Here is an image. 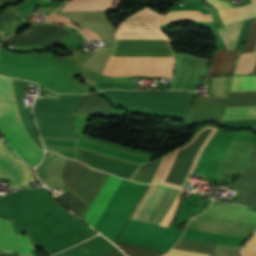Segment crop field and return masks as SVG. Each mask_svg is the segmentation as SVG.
<instances>
[{
  "label": "crop field",
  "mask_w": 256,
  "mask_h": 256,
  "mask_svg": "<svg viewBox=\"0 0 256 256\" xmlns=\"http://www.w3.org/2000/svg\"><path fill=\"white\" fill-rule=\"evenodd\" d=\"M14 9V8H13ZM16 12L17 10L14 9ZM16 12L8 9L0 18V37L4 40L6 37L10 36L11 33L18 30L20 27L26 26L27 24H32L35 22L25 20L19 16Z\"/></svg>",
  "instance_id": "23"
},
{
  "label": "crop field",
  "mask_w": 256,
  "mask_h": 256,
  "mask_svg": "<svg viewBox=\"0 0 256 256\" xmlns=\"http://www.w3.org/2000/svg\"><path fill=\"white\" fill-rule=\"evenodd\" d=\"M218 9L224 24L256 17V0H251L252 4L233 8L230 3L220 0H209Z\"/></svg>",
  "instance_id": "19"
},
{
  "label": "crop field",
  "mask_w": 256,
  "mask_h": 256,
  "mask_svg": "<svg viewBox=\"0 0 256 256\" xmlns=\"http://www.w3.org/2000/svg\"><path fill=\"white\" fill-rule=\"evenodd\" d=\"M33 249L26 234L15 235L9 220L0 218V250L33 256Z\"/></svg>",
  "instance_id": "17"
},
{
  "label": "crop field",
  "mask_w": 256,
  "mask_h": 256,
  "mask_svg": "<svg viewBox=\"0 0 256 256\" xmlns=\"http://www.w3.org/2000/svg\"><path fill=\"white\" fill-rule=\"evenodd\" d=\"M238 256H241V254H239Z\"/></svg>",
  "instance_id": "34"
},
{
  "label": "crop field",
  "mask_w": 256,
  "mask_h": 256,
  "mask_svg": "<svg viewBox=\"0 0 256 256\" xmlns=\"http://www.w3.org/2000/svg\"><path fill=\"white\" fill-rule=\"evenodd\" d=\"M235 188L241 192L234 203L254 208L256 205V143L249 162Z\"/></svg>",
  "instance_id": "12"
},
{
  "label": "crop field",
  "mask_w": 256,
  "mask_h": 256,
  "mask_svg": "<svg viewBox=\"0 0 256 256\" xmlns=\"http://www.w3.org/2000/svg\"><path fill=\"white\" fill-rule=\"evenodd\" d=\"M253 91H256V76L233 77L231 92ZM236 106H256V92L243 94L230 93V101L227 107ZM254 118H256V107H236L226 108L222 120ZM221 124L230 128L252 127L256 129V119L222 121Z\"/></svg>",
  "instance_id": "7"
},
{
  "label": "crop field",
  "mask_w": 256,
  "mask_h": 256,
  "mask_svg": "<svg viewBox=\"0 0 256 256\" xmlns=\"http://www.w3.org/2000/svg\"><path fill=\"white\" fill-rule=\"evenodd\" d=\"M85 165L78 163L73 160H67L64 171H63V179L65 186L72 191L74 186L76 185L78 179L85 169Z\"/></svg>",
  "instance_id": "26"
},
{
  "label": "crop field",
  "mask_w": 256,
  "mask_h": 256,
  "mask_svg": "<svg viewBox=\"0 0 256 256\" xmlns=\"http://www.w3.org/2000/svg\"><path fill=\"white\" fill-rule=\"evenodd\" d=\"M231 77L232 76L212 78L210 95L228 101Z\"/></svg>",
  "instance_id": "27"
},
{
  "label": "crop field",
  "mask_w": 256,
  "mask_h": 256,
  "mask_svg": "<svg viewBox=\"0 0 256 256\" xmlns=\"http://www.w3.org/2000/svg\"><path fill=\"white\" fill-rule=\"evenodd\" d=\"M119 252L111 243L101 236H96L86 242H83L67 251L54 256H107ZM3 256H21L3 252ZM110 256H125L119 252Z\"/></svg>",
  "instance_id": "14"
},
{
  "label": "crop field",
  "mask_w": 256,
  "mask_h": 256,
  "mask_svg": "<svg viewBox=\"0 0 256 256\" xmlns=\"http://www.w3.org/2000/svg\"><path fill=\"white\" fill-rule=\"evenodd\" d=\"M79 160L93 166L94 168L108 171L126 178H129L132 172L138 167L136 164L81 149H79Z\"/></svg>",
  "instance_id": "11"
},
{
  "label": "crop field",
  "mask_w": 256,
  "mask_h": 256,
  "mask_svg": "<svg viewBox=\"0 0 256 256\" xmlns=\"http://www.w3.org/2000/svg\"><path fill=\"white\" fill-rule=\"evenodd\" d=\"M217 244L214 243H207L202 241H195V240H188V239H181V241L173 247L174 250L201 254L211 256L212 252L214 251ZM171 250L169 253L163 256H201L195 254H189L179 251ZM214 256H222L220 254L214 253Z\"/></svg>",
  "instance_id": "21"
},
{
  "label": "crop field",
  "mask_w": 256,
  "mask_h": 256,
  "mask_svg": "<svg viewBox=\"0 0 256 256\" xmlns=\"http://www.w3.org/2000/svg\"><path fill=\"white\" fill-rule=\"evenodd\" d=\"M239 50H218L209 76L230 74Z\"/></svg>",
  "instance_id": "24"
},
{
  "label": "crop field",
  "mask_w": 256,
  "mask_h": 256,
  "mask_svg": "<svg viewBox=\"0 0 256 256\" xmlns=\"http://www.w3.org/2000/svg\"><path fill=\"white\" fill-rule=\"evenodd\" d=\"M256 63V53L242 54L234 74L251 73ZM252 73H256V65Z\"/></svg>",
  "instance_id": "28"
},
{
  "label": "crop field",
  "mask_w": 256,
  "mask_h": 256,
  "mask_svg": "<svg viewBox=\"0 0 256 256\" xmlns=\"http://www.w3.org/2000/svg\"><path fill=\"white\" fill-rule=\"evenodd\" d=\"M111 2L112 0H71L62 10L107 12L111 6ZM46 21L63 23L76 27L72 24L71 20L55 14L51 15ZM80 31L89 41L102 40L95 33L86 28L80 29Z\"/></svg>",
  "instance_id": "13"
},
{
  "label": "crop field",
  "mask_w": 256,
  "mask_h": 256,
  "mask_svg": "<svg viewBox=\"0 0 256 256\" xmlns=\"http://www.w3.org/2000/svg\"><path fill=\"white\" fill-rule=\"evenodd\" d=\"M122 179L109 175L102 189L98 193L91 207L89 208L84 220L94 227L95 223L99 219L106 205L110 201L117 187L121 183Z\"/></svg>",
  "instance_id": "18"
},
{
  "label": "crop field",
  "mask_w": 256,
  "mask_h": 256,
  "mask_svg": "<svg viewBox=\"0 0 256 256\" xmlns=\"http://www.w3.org/2000/svg\"><path fill=\"white\" fill-rule=\"evenodd\" d=\"M192 219L251 231L256 230V212L235 206H226L213 203L204 213ZM193 220L190 221L187 228L242 237H247L252 234L251 231L240 230ZM190 229H186L183 237L221 244H229L233 246L241 245V243L245 239L242 237L209 233Z\"/></svg>",
  "instance_id": "4"
},
{
  "label": "crop field",
  "mask_w": 256,
  "mask_h": 256,
  "mask_svg": "<svg viewBox=\"0 0 256 256\" xmlns=\"http://www.w3.org/2000/svg\"><path fill=\"white\" fill-rule=\"evenodd\" d=\"M110 56H174L170 40H114Z\"/></svg>",
  "instance_id": "9"
},
{
  "label": "crop field",
  "mask_w": 256,
  "mask_h": 256,
  "mask_svg": "<svg viewBox=\"0 0 256 256\" xmlns=\"http://www.w3.org/2000/svg\"><path fill=\"white\" fill-rule=\"evenodd\" d=\"M182 19L212 21L210 14L203 15L199 11H172L165 12V14L160 17L158 24L162 25Z\"/></svg>",
  "instance_id": "25"
},
{
  "label": "crop field",
  "mask_w": 256,
  "mask_h": 256,
  "mask_svg": "<svg viewBox=\"0 0 256 256\" xmlns=\"http://www.w3.org/2000/svg\"><path fill=\"white\" fill-rule=\"evenodd\" d=\"M13 90L20 119L30 137L43 150L30 109L24 108L22 98H25V95L21 80L13 79ZM13 90L12 79L0 77V132L17 154L35 167L40 162L43 151L29 137L19 119Z\"/></svg>",
  "instance_id": "3"
},
{
  "label": "crop field",
  "mask_w": 256,
  "mask_h": 256,
  "mask_svg": "<svg viewBox=\"0 0 256 256\" xmlns=\"http://www.w3.org/2000/svg\"><path fill=\"white\" fill-rule=\"evenodd\" d=\"M243 256H256V234L242 250Z\"/></svg>",
  "instance_id": "30"
},
{
  "label": "crop field",
  "mask_w": 256,
  "mask_h": 256,
  "mask_svg": "<svg viewBox=\"0 0 256 256\" xmlns=\"http://www.w3.org/2000/svg\"><path fill=\"white\" fill-rule=\"evenodd\" d=\"M176 61L170 89L194 91L202 74L205 72L208 59L177 53Z\"/></svg>",
  "instance_id": "8"
},
{
  "label": "crop field",
  "mask_w": 256,
  "mask_h": 256,
  "mask_svg": "<svg viewBox=\"0 0 256 256\" xmlns=\"http://www.w3.org/2000/svg\"><path fill=\"white\" fill-rule=\"evenodd\" d=\"M42 137L78 139L77 116L34 113Z\"/></svg>",
  "instance_id": "10"
},
{
  "label": "crop field",
  "mask_w": 256,
  "mask_h": 256,
  "mask_svg": "<svg viewBox=\"0 0 256 256\" xmlns=\"http://www.w3.org/2000/svg\"><path fill=\"white\" fill-rule=\"evenodd\" d=\"M0 74L37 82L58 93H89L79 79L64 78L48 54L17 56L0 49Z\"/></svg>",
  "instance_id": "5"
},
{
  "label": "crop field",
  "mask_w": 256,
  "mask_h": 256,
  "mask_svg": "<svg viewBox=\"0 0 256 256\" xmlns=\"http://www.w3.org/2000/svg\"><path fill=\"white\" fill-rule=\"evenodd\" d=\"M67 208H69L74 214L81 217L84 210L86 209V205L83 204L78 198H76L74 195L70 199V201L66 204H64Z\"/></svg>",
  "instance_id": "29"
},
{
  "label": "crop field",
  "mask_w": 256,
  "mask_h": 256,
  "mask_svg": "<svg viewBox=\"0 0 256 256\" xmlns=\"http://www.w3.org/2000/svg\"><path fill=\"white\" fill-rule=\"evenodd\" d=\"M173 154H170V155L162 158L159 162V165L156 163H151L150 161L147 162L145 165H143L139 169V171L136 173L133 180L140 182V183H150V181L153 177V174L155 172V169L158 165L151 183H160L165 174V171L169 165V162H170Z\"/></svg>",
  "instance_id": "22"
},
{
  "label": "crop field",
  "mask_w": 256,
  "mask_h": 256,
  "mask_svg": "<svg viewBox=\"0 0 256 256\" xmlns=\"http://www.w3.org/2000/svg\"><path fill=\"white\" fill-rule=\"evenodd\" d=\"M86 95H49L37 99L33 112L73 114Z\"/></svg>",
  "instance_id": "15"
},
{
  "label": "crop field",
  "mask_w": 256,
  "mask_h": 256,
  "mask_svg": "<svg viewBox=\"0 0 256 256\" xmlns=\"http://www.w3.org/2000/svg\"><path fill=\"white\" fill-rule=\"evenodd\" d=\"M225 105L220 100L195 96L185 120L219 122Z\"/></svg>",
  "instance_id": "16"
},
{
  "label": "crop field",
  "mask_w": 256,
  "mask_h": 256,
  "mask_svg": "<svg viewBox=\"0 0 256 256\" xmlns=\"http://www.w3.org/2000/svg\"><path fill=\"white\" fill-rule=\"evenodd\" d=\"M115 105L142 106L156 116L185 118L194 94L163 91H100Z\"/></svg>",
  "instance_id": "6"
},
{
  "label": "crop field",
  "mask_w": 256,
  "mask_h": 256,
  "mask_svg": "<svg viewBox=\"0 0 256 256\" xmlns=\"http://www.w3.org/2000/svg\"><path fill=\"white\" fill-rule=\"evenodd\" d=\"M72 195L73 194L71 192H69L64 195L57 196V198L64 204L69 201V199L72 197Z\"/></svg>",
  "instance_id": "31"
},
{
  "label": "crop field",
  "mask_w": 256,
  "mask_h": 256,
  "mask_svg": "<svg viewBox=\"0 0 256 256\" xmlns=\"http://www.w3.org/2000/svg\"><path fill=\"white\" fill-rule=\"evenodd\" d=\"M15 1H18V0H0V4L1 3L15 2Z\"/></svg>",
  "instance_id": "33"
},
{
  "label": "crop field",
  "mask_w": 256,
  "mask_h": 256,
  "mask_svg": "<svg viewBox=\"0 0 256 256\" xmlns=\"http://www.w3.org/2000/svg\"><path fill=\"white\" fill-rule=\"evenodd\" d=\"M167 188L168 186L153 185L138 213L136 212L137 214L135 219L148 222ZM183 192L184 191L182 190L179 192L176 200L174 201L171 209L162 223L163 226L169 227ZM135 219H129L116 242L166 253L179 240L182 234V231ZM122 244L119 245L129 254V256H160L155 252Z\"/></svg>",
  "instance_id": "2"
},
{
  "label": "crop field",
  "mask_w": 256,
  "mask_h": 256,
  "mask_svg": "<svg viewBox=\"0 0 256 256\" xmlns=\"http://www.w3.org/2000/svg\"><path fill=\"white\" fill-rule=\"evenodd\" d=\"M0 179L11 188L29 187L34 182L31 168L0 139ZM0 217L12 222L16 234L27 233L34 248L48 255L97 234L62 207L46 188L21 189L0 197Z\"/></svg>",
  "instance_id": "1"
},
{
  "label": "crop field",
  "mask_w": 256,
  "mask_h": 256,
  "mask_svg": "<svg viewBox=\"0 0 256 256\" xmlns=\"http://www.w3.org/2000/svg\"><path fill=\"white\" fill-rule=\"evenodd\" d=\"M243 22L231 24L229 26L222 27V28L218 29L227 49L233 48ZM246 36H248V39H247V43L242 52L252 51V49L255 45V42H256V18H254L252 20L250 28H249ZM253 51H256V45H255Z\"/></svg>",
  "instance_id": "20"
},
{
  "label": "crop field",
  "mask_w": 256,
  "mask_h": 256,
  "mask_svg": "<svg viewBox=\"0 0 256 256\" xmlns=\"http://www.w3.org/2000/svg\"><path fill=\"white\" fill-rule=\"evenodd\" d=\"M55 9H57V8H40V9L38 10V12L50 14V13H52Z\"/></svg>",
  "instance_id": "32"
}]
</instances>
